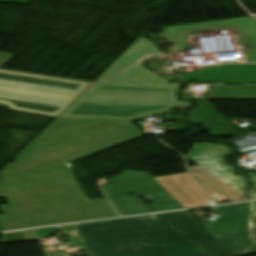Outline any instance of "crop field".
Listing matches in <instances>:
<instances>
[{
	"instance_id": "obj_15",
	"label": "crop field",
	"mask_w": 256,
	"mask_h": 256,
	"mask_svg": "<svg viewBox=\"0 0 256 256\" xmlns=\"http://www.w3.org/2000/svg\"><path fill=\"white\" fill-rule=\"evenodd\" d=\"M208 99L256 100V86L211 85Z\"/></svg>"
},
{
	"instance_id": "obj_2",
	"label": "crop field",
	"mask_w": 256,
	"mask_h": 256,
	"mask_svg": "<svg viewBox=\"0 0 256 256\" xmlns=\"http://www.w3.org/2000/svg\"><path fill=\"white\" fill-rule=\"evenodd\" d=\"M76 227L91 256H194L188 241L216 239L188 211Z\"/></svg>"
},
{
	"instance_id": "obj_8",
	"label": "crop field",
	"mask_w": 256,
	"mask_h": 256,
	"mask_svg": "<svg viewBox=\"0 0 256 256\" xmlns=\"http://www.w3.org/2000/svg\"><path fill=\"white\" fill-rule=\"evenodd\" d=\"M230 153H232V150L222 145L197 144L191 149L186 158L245 197L243 177L233 176L231 172L233 167L223 161L224 157Z\"/></svg>"
},
{
	"instance_id": "obj_1",
	"label": "crop field",
	"mask_w": 256,
	"mask_h": 256,
	"mask_svg": "<svg viewBox=\"0 0 256 256\" xmlns=\"http://www.w3.org/2000/svg\"><path fill=\"white\" fill-rule=\"evenodd\" d=\"M155 55L140 37L15 159L21 182L144 134L122 111L189 104L176 98L181 85L143 67Z\"/></svg>"
},
{
	"instance_id": "obj_18",
	"label": "crop field",
	"mask_w": 256,
	"mask_h": 256,
	"mask_svg": "<svg viewBox=\"0 0 256 256\" xmlns=\"http://www.w3.org/2000/svg\"><path fill=\"white\" fill-rule=\"evenodd\" d=\"M140 195L151 196L155 203L150 205L157 211L183 208L165 189L136 194V196Z\"/></svg>"
},
{
	"instance_id": "obj_21",
	"label": "crop field",
	"mask_w": 256,
	"mask_h": 256,
	"mask_svg": "<svg viewBox=\"0 0 256 256\" xmlns=\"http://www.w3.org/2000/svg\"><path fill=\"white\" fill-rule=\"evenodd\" d=\"M165 132L172 131V130H178V129H184L186 126L183 125H169V126H163L161 127Z\"/></svg>"
},
{
	"instance_id": "obj_11",
	"label": "crop field",
	"mask_w": 256,
	"mask_h": 256,
	"mask_svg": "<svg viewBox=\"0 0 256 256\" xmlns=\"http://www.w3.org/2000/svg\"><path fill=\"white\" fill-rule=\"evenodd\" d=\"M102 188L108 197L163 189L148 173L142 172H123L115 178V184Z\"/></svg>"
},
{
	"instance_id": "obj_5",
	"label": "crop field",
	"mask_w": 256,
	"mask_h": 256,
	"mask_svg": "<svg viewBox=\"0 0 256 256\" xmlns=\"http://www.w3.org/2000/svg\"><path fill=\"white\" fill-rule=\"evenodd\" d=\"M220 218L206 225L212 233L235 256L256 253L246 240L247 203L214 208Z\"/></svg>"
},
{
	"instance_id": "obj_19",
	"label": "crop field",
	"mask_w": 256,
	"mask_h": 256,
	"mask_svg": "<svg viewBox=\"0 0 256 256\" xmlns=\"http://www.w3.org/2000/svg\"><path fill=\"white\" fill-rule=\"evenodd\" d=\"M189 106L190 105L178 106V107H189ZM172 108H176V107L129 111V112H123L122 115L127 121H137V120H140L142 116L165 113Z\"/></svg>"
},
{
	"instance_id": "obj_3",
	"label": "crop field",
	"mask_w": 256,
	"mask_h": 256,
	"mask_svg": "<svg viewBox=\"0 0 256 256\" xmlns=\"http://www.w3.org/2000/svg\"><path fill=\"white\" fill-rule=\"evenodd\" d=\"M92 83L0 70V104L57 118Z\"/></svg>"
},
{
	"instance_id": "obj_25",
	"label": "crop field",
	"mask_w": 256,
	"mask_h": 256,
	"mask_svg": "<svg viewBox=\"0 0 256 256\" xmlns=\"http://www.w3.org/2000/svg\"><path fill=\"white\" fill-rule=\"evenodd\" d=\"M108 183L109 184H113L114 183V179H110Z\"/></svg>"
},
{
	"instance_id": "obj_20",
	"label": "crop field",
	"mask_w": 256,
	"mask_h": 256,
	"mask_svg": "<svg viewBox=\"0 0 256 256\" xmlns=\"http://www.w3.org/2000/svg\"><path fill=\"white\" fill-rule=\"evenodd\" d=\"M249 228H256V204L249 203Z\"/></svg>"
},
{
	"instance_id": "obj_16",
	"label": "crop field",
	"mask_w": 256,
	"mask_h": 256,
	"mask_svg": "<svg viewBox=\"0 0 256 256\" xmlns=\"http://www.w3.org/2000/svg\"><path fill=\"white\" fill-rule=\"evenodd\" d=\"M121 216L152 212L142 201L130 195L109 198Z\"/></svg>"
},
{
	"instance_id": "obj_7",
	"label": "crop field",
	"mask_w": 256,
	"mask_h": 256,
	"mask_svg": "<svg viewBox=\"0 0 256 256\" xmlns=\"http://www.w3.org/2000/svg\"><path fill=\"white\" fill-rule=\"evenodd\" d=\"M30 214L35 227L118 216L106 199Z\"/></svg>"
},
{
	"instance_id": "obj_12",
	"label": "crop field",
	"mask_w": 256,
	"mask_h": 256,
	"mask_svg": "<svg viewBox=\"0 0 256 256\" xmlns=\"http://www.w3.org/2000/svg\"><path fill=\"white\" fill-rule=\"evenodd\" d=\"M223 27L230 28L233 31V33L256 31L255 22L251 17H247V18L217 21V22L171 27V28H168V35L169 36L184 35L193 30L214 29V28H223Z\"/></svg>"
},
{
	"instance_id": "obj_23",
	"label": "crop field",
	"mask_w": 256,
	"mask_h": 256,
	"mask_svg": "<svg viewBox=\"0 0 256 256\" xmlns=\"http://www.w3.org/2000/svg\"><path fill=\"white\" fill-rule=\"evenodd\" d=\"M250 178L255 184V189L249 193V196L251 199H255L256 198V174L250 175Z\"/></svg>"
},
{
	"instance_id": "obj_10",
	"label": "crop field",
	"mask_w": 256,
	"mask_h": 256,
	"mask_svg": "<svg viewBox=\"0 0 256 256\" xmlns=\"http://www.w3.org/2000/svg\"><path fill=\"white\" fill-rule=\"evenodd\" d=\"M181 77L185 82L256 83V64L209 66Z\"/></svg>"
},
{
	"instance_id": "obj_26",
	"label": "crop field",
	"mask_w": 256,
	"mask_h": 256,
	"mask_svg": "<svg viewBox=\"0 0 256 256\" xmlns=\"http://www.w3.org/2000/svg\"><path fill=\"white\" fill-rule=\"evenodd\" d=\"M254 203H256V202H254Z\"/></svg>"
},
{
	"instance_id": "obj_13",
	"label": "crop field",
	"mask_w": 256,
	"mask_h": 256,
	"mask_svg": "<svg viewBox=\"0 0 256 256\" xmlns=\"http://www.w3.org/2000/svg\"><path fill=\"white\" fill-rule=\"evenodd\" d=\"M189 170L194 177L219 201L228 199L230 202L243 201L246 198L242 197L228 186L208 174L198 166L190 167Z\"/></svg>"
},
{
	"instance_id": "obj_4",
	"label": "crop field",
	"mask_w": 256,
	"mask_h": 256,
	"mask_svg": "<svg viewBox=\"0 0 256 256\" xmlns=\"http://www.w3.org/2000/svg\"><path fill=\"white\" fill-rule=\"evenodd\" d=\"M29 211L89 202L66 165L22 184Z\"/></svg>"
},
{
	"instance_id": "obj_17",
	"label": "crop field",
	"mask_w": 256,
	"mask_h": 256,
	"mask_svg": "<svg viewBox=\"0 0 256 256\" xmlns=\"http://www.w3.org/2000/svg\"><path fill=\"white\" fill-rule=\"evenodd\" d=\"M189 243L195 256H234L218 240Z\"/></svg>"
},
{
	"instance_id": "obj_6",
	"label": "crop field",
	"mask_w": 256,
	"mask_h": 256,
	"mask_svg": "<svg viewBox=\"0 0 256 256\" xmlns=\"http://www.w3.org/2000/svg\"><path fill=\"white\" fill-rule=\"evenodd\" d=\"M0 197H7L10 205L0 206L6 214L0 215L3 230L34 227L15 164H8L1 172Z\"/></svg>"
},
{
	"instance_id": "obj_14",
	"label": "crop field",
	"mask_w": 256,
	"mask_h": 256,
	"mask_svg": "<svg viewBox=\"0 0 256 256\" xmlns=\"http://www.w3.org/2000/svg\"><path fill=\"white\" fill-rule=\"evenodd\" d=\"M220 30H230V29L223 28ZM233 35L236 37L241 51L247 53L248 62H256V32L238 33ZM170 39L172 40L173 44H175V46L172 49H170L169 54H176L185 49L186 47L185 35L170 37Z\"/></svg>"
},
{
	"instance_id": "obj_24",
	"label": "crop field",
	"mask_w": 256,
	"mask_h": 256,
	"mask_svg": "<svg viewBox=\"0 0 256 256\" xmlns=\"http://www.w3.org/2000/svg\"><path fill=\"white\" fill-rule=\"evenodd\" d=\"M0 2L26 4L27 0H0Z\"/></svg>"
},
{
	"instance_id": "obj_9",
	"label": "crop field",
	"mask_w": 256,
	"mask_h": 256,
	"mask_svg": "<svg viewBox=\"0 0 256 256\" xmlns=\"http://www.w3.org/2000/svg\"><path fill=\"white\" fill-rule=\"evenodd\" d=\"M184 208L213 205L188 173L155 178Z\"/></svg>"
},
{
	"instance_id": "obj_22",
	"label": "crop field",
	"mask_w": 256,
	"mask_h": 256,
	"mask_svg": "<svg viewBox=\"0 0 256 256\" xmlns=\"http://www.w3.org/2000/svg\"><path fill=\"white\" fill-rule=\"evenodd\" d=\"M249 240L256 246V229H249Z\"/></svg>"
}]
</instances>
